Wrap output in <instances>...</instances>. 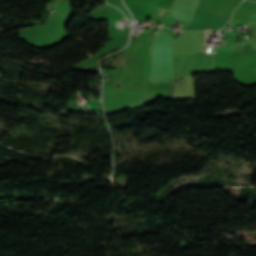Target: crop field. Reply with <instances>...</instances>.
Returning a JSON list of instances; mask_svg holds the SVG:
<instances>
[{
  "label": "crop field",
  "mask_w": 256,
  "mask_h": 256,
  "mask_svg": "<svg viewBox=\"0 0 256 256\" xmlns=\"http://www.w3.org/2000/svg\"><path fill=\"white\" fill-rule=\"evenodd\" d=\"M172 95H173V100H174V94H173V89H172Z\"/></svg>",
  "instance_id": "1"
},
{
  "label": "crop field",
  "mask_w": 256,
  "mask_h": 256,
  "mask_svg": "<svg viewBox=\"0 0 256 256\" xmlns=\"http://www.w3.org/2000/svg\"><path fill=\"white\" fill-rule=\"evenodd\" d=\"M218 51V48H215V52H217Z\"/></svg>",
  "instance_id": "2"
}]
</instances>
